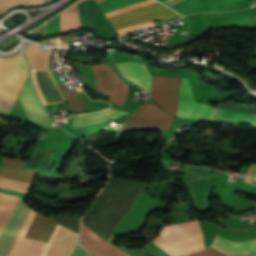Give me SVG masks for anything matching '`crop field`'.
Listing matches in <instances>:
<instances>
[{"mask_svg":"<svg viewBox=\"0 0 256 256\" xmlns=\"http://www.w3.org/2000/svg\"><path fill=\"white\" fill-rule=\"evenodd\" d=\"M43 42L48 43V44H56V45L68 46V44H69V36L61 37V38H56V39H50V40H44Z\"/></svg>","mask_w":256,"mask_h":256,"instance_id":"d3111659","label":"crop field"},{"mask_svg":"<svg viewBox=\"0 0 256 256\" xmlns=\"http://www.w3.org/2000/svg\"><path fill=\"white\" fill-rule=\"evenodd\" d=\"M123 75L130 79L135 84L146 89L149 93L151 77L144 68L143 64L121 62L117 64Z\"/></svg>","mask_w":256,"mask_h":256,"instance_id":"d1516ede","label":"crop field"},{"mask_svg":"<svg viewBox=\"0 0 256 256\" xmlns=\"http://www.w3.org/2000/svg\"><path fill=\"white\" fill-rule=\"evenodd\" d=\"M96 78V89L111 96L109 102L123 105L129 86L117 77L108 64L91 66ZM122 86V88H120Z\"/></svg>","mask_w":256,"mask_h":256,"instance_id":"d8731c3e","label":"crop field"},{"mask_svg":"<svg viewBox=\"0 0 256 256\" xmlns=\"http://www.w3.org/2000/svg\"><path fill=\"white\" fill-rule=\"evenodd\" d=\"M45 1H49V0H45ZM45 1H44V2H45Z\"/></svg>","mask_w":256,"mask_h":256,"instance_id":"0bd39190","label":"crop field"},{"mask_svg":"<svg viewBox=\"0 0 256 256\" xmlns=\"http://www.w3.org/2000/svg\"><path fill=\"white\" fill-rule=\"evenodd\" d=\"M84 0H81L82 2ZM78 2V3H80ZM81 28L77 13L76 4L71 8L61 13V33L75 31Z\"/></svg>","mask_w":256,"mask_h":256,"instance_id":"4a817a6b","label":"crop field"},{"mask_svg":"<svg viewBox=\"0 0 256 256\" xmlns=\"http://www.w3.org/2000/svg\"><path fill=\"white\" fill-rule=\"evenodd\" d=\"M19 98L29 121L50 127L40 101L36 96L29 79Z\"/></svg>","mask_w":256,"mask_h":256,"instance_id":"3316defc","label":"crop field"},{"mask_svg":"<svg viewBox=\"0 0 256 256\" xmlns=\"http://www.w3.org/2000/svg\"><path fill=\"white\" fill-rule=\"evenodd\" d=\"M188 256H227V255L221 254V253H219V252H217V251H215L211 248H208V249L193 253V254L188 255ZM245 256H256V253L251 254V255H245Z\"/></svg>","mask_w":256,"mask_h":256,"instance_id":"eef30255","label":"crop field"},{"mask_svg":"<svg viewBox=\"0 0 256 256\" xmlns=\"http://www.w3.org/2000/svg\"><path fill=\"white\" fill-rule=\"evenodd\" d=\"M19 198L0 193V235L7 224Z\"/></svg>","mask_w":256,"mask_h":256,"instance_id":"733c2abd","label":"crop field"},{"mask_svg":"<svg viewBox=\"0 0 256 256\" xmlns=\"http://www.w3.org/2000/svg\"><path fill=\"white\" fill-rule=\"evenodd\" d=\"M30 186L31 185H29V184H25V183H21V182H17V181H13V180H9V179L0 177V187H3V188H7V189H11V190H15V191H19V192L28 194Z\"/></svg>","mask_w":256,"mask_h":256,"instance_id":"92a150f3","label":"crop field"},{"mask_svg":"<svg viewBox=\"0 0 256 256\" xmlns=\"http://www.w3.org/2000/svg\"><path fill=\"white\" fill-rule=\"evenodd\" d=\"M51 50L43 52L40 49L27 46L24 48V54L29 61L30 67L36 69H48V57Z\"/></svg>","mask_w":256,"mask_h":256,"instance_id":"d9b57169","label":"crop field"},{"mask_svg":"<svg viewBox=\"0 0 256 256\" xmlns=\"http://www.w3.org/2000/svg\"><path fill=\"white\" fill-rule=\"evenodd\" d=\"M0 192H2V193H7V194H11V195H16V196H20V197H24V198L27 197V194L15 192V191L3 189V188H0Z\"/></svg>","mask_w":256,"mask_h":256,"instance_id":"120bbe31","label":"crop field"},{"mask_svg":"<svg viewBox=\"0 0 256 256\" xmlns=\"http://www.w3.org/2000/svg\"><path fill=\"white\" fill-rule=\"evenodd\" d=\"M209 122L220 124H251L256 127V114L237 113L214 108Z\"/></svg>","mask_w":256,"mask_h":256,"instance_id":"28ad6ade","label":"crop field"},{"mask_svg":"<svg viewBox=\"0 0 256 256\" xmlns=\"http://www.w3.org/2000/svg\"><path fill=\"white\" fill-rule=\"evenodd\" d=\"M53 220L61 223L62 225L66 226L69 229L78 233L79 221H77L69 216L62 215L60 213H58V215Z\"/></svg>","mask_w":256,"mask_h":256,"instance_id":"a9b5d70f","label":"crop field"},{"mask_svg":"<svg viewBox=\"0 0 256 256\" xmlns=\"http://www.w3.org/2000/svg\"><path fill=\"white\" fill-rule=\"evenodd\" d=\"M0 176L31 184L34 174L20 169L4 167Z\"/></svg>","mask_w":256,"mask_h":256,"instance_id":"bc2a9ffb","label":"crop field"},{"mask_svg":"<svg viewBox=\"0 0 256 256\" xmlns=\"http://www.w3.org/2000/svg\"><path fill=\"white\" fill-rule=\"evenodd\" d=\"M142 190L140 185L110 176L103 191L85 213L82 224L107 241ZM84 225L79 241L94 256H127Z\"/></svg>","mask_w":256,"mask_h":256,"instance_id":"8a807250","label":"crop field"},{"mask_svg":"<svg viewBox=\"0 0 256 256\" xmlns=\"http://www.w3.org/2000/svg\"><path fill=\"white\" fill-rule=\"evenodd\" d=\"M2 164L13 166V167L23 168L24 165H25V162L24 161H18V160H12V159L4 158Z\"/></svg>","mask_w":256,"mask_h":256,"instance_id":"750c4746","label":"crop field"},{"mask_svg":"<svg viewBox=\"0 0 256 256\" xmlns=\"http://www.w3.org/2000/svg\"><path fill=\"white\" fill-rule=\"evenodd\" d=\"M173 116L155 104L145 103L126 122L123 129H146L167 131Z\"/></svg>","mask_w":256,"mask_h":256,"instance_id":"e52e79f7","label":"crop field"},{"mask_svg":"<svg viewBox=\"0 0 256 256\" xmlns=\"http://www.w3.org/2000/svg\"><path fill=\"white\" fill-rule=\"evenodd\" d=\"M126 113L127 112L119 111L113 108H108L103 111H99L95 113L79 114L74 116L72 127H81V126L93 125L98 122H105Z\"/></svg>","mask_w":256,"mask_h":256,"instance_id":"22f410ed","label":"crop field"},{"mask_svg":"<svg viewBox=\"0 0 256 256\" xmlns=\"http://www.w3.org/2000/svg\"><path fill=\"white\" fill-rule=\"evenodd\" d=\"M96 1H97V2H98V4H99V3H101L103 0H96Z\"/></svg>","mask_w":256,"mask_h":256,"instance_id":"5866460e","label":"crop field"},{"mask_svg":"<svg viewBox=\"0 0 256 256\" xmlns=\"http://www.w3.org/2000/svg\"><path fill=\"white\" fill-rule=\"evenodd\" d=\"M179 78L153 76L151 98L175 115ZM212 107L195 103L188 80L180 78L176 116L207 121Z\"/></svg>","mask_w":256,"mask_h":256,"instance_id":"ac0d7876","label":"crop field"},{"mask_svg":"<svg viewBox=\"0 0 256 256\" xmlns=\"http://www.w3.org/2000/svg\"><path fill=\"white\" fill-rule=\"evenodd\" d=\"M154 2H156V1H154V0L144 1V2H141V3L135 4V5H132V6H128V7L116 10V11H112V12L106 13V16L108 18V17H111V16H114V15H117V14L129 11V10H132V9H136V8H139V7H142V6L154 3Z\"/></svg>","mask_w":256,"mask_h":256,"instance_id":"4177f3b9","label":"crop field"},{"mask_svg":"<svg viewBox=\"0 0 256 256\" xmlns=\"http://www.w3.org/2000/svg\"><path fill=\"white\" fill-rule=\"evenodd\" d=\"M27 62L21 53L0 58V108L11 110L25 80Z\"/></svg>","mask_w":256,"mask_h":256,"instance_id":"f4fd0767","label":"crop field"},{"mask_svg":"<svg viewBox=\"0 0 256 256\" xmlns=\"http://www.w3.org/2000/svg\"><path fill=\"white\" fill-rule=\"evenodd\" d=\"M155 25L154 22H150V23H145V24H140V25H136V26H132L129 28H125V29H121V30H117V33L119 34V36H122L132 30L138 29V28H144V27H149Z\"/></svg>","mask_w":256,"mask_h":256,"instance_id":"ae1a2a85","label":"crop field"},{"mask_svg":"<svg viewBox=\"0 0 256 256\" xmlns=\"http://www.w3.org/2000/svg\"><path fill=\"white\" fill-rule=\"evenodd\" d=\"M86 251H84L81 247H79L77 244L71 254V256H85L86 255Z\"/></svg>","mask_w":256,"mask_h":256,"instance_id":"1d83c4d3","label":"crop field"},{"mask_svg":"<svg viewBox=\"0 0 256 256\" xmlns=\"http://www.w3.org/2000/svg\"><path fill=\"white\" fill-rule=\"evenodd\" d=\"M212 247L226 254L253 253L256 252V240L235 243L217 235Z\"/></svg>","mask_w":256,"mask_h":256,"instance_id":"5142ce71","label":"crop field"},{"mask_svg":"<svg viewBox=\"0 0 256 256\" xmlns=\"http://www.w3.org/2000/svg\"><path fill=\"white\" fill-rule=\"evenodd\" d=\"M87 256H90L89 254H87Z\"/></svg>","mask_w":256,"mask_h":256,"instance_id":"e1f06a70","label":"crop field"},{"mask_svg":"<svg viewBox=\"0 0 256 256\" xmlns=\"http://www.w3.org/2000/svg\"><path fill=\"white\" fill-rule=\"evenodd\" d=\"M176 12L161 5L159 2L109 18L115 30L127 26L162 20L167 18L179 17Z\"/></svg>","mask_w":256,"mask_h":256,"instance_id":"dd49c442","label":"crop field"},{"mask_svg":"<svg viewBox=\"0 0 256 256\" xmlns=\"http://www.w3.org/2000/svg\"><path fill=\"white\" fill-rule=\"evenodd\" d=\"M57 223L37 213L26 238L48 242Z\"/></svg>","mask_w":256,"mask_h":256,"instance_id":"cbeb9de0","label":"crop field"},{"mask_svg":"<svg viewBox=\"0 0 256 256\" xmlns=\"http://www.w3.org/2000/svg\"><path fill=\"white\" fill-rule=\"evenodd\" d=\"M245 178L256 182V166L251 165V167L249 168Z\"/></svg>","mask_w":256,"mask_h":256,"instance_id":"bd1437ed","label":"crop field"},{"mask_svg":"<svg viewBox=\"0 0 256 256\" xmlns=\"http://www.w3.org/2000/svg\"><path fill=\"white\" fill-rule=\"evenodd\" d=\"M48 35L60 33V15L47 22Z\"/></svg>","mask_w":256,"mask_h":256,"instance_id":"730fd06b","label":"crop field"},{"mask_svg":"<svg viewBox=\"0 0 256 256\" xmlns=\"http://www.w3.org/2000/svg\"><path fill=\"white\" fill-rule=\"evenodd\" d=\"M20 198L0 237L2 256H41L46 243L24 238L36 213Z\"/></svg>","mask_w":256,"mask_h":256,"instance_id":"34b2d1b8","label":"crop field"},{"mask_svg":"<svg viewBox=\"0 0 256 256\" xmlns=\"http://www.w3.org/2000/svg\"><path fill=\"white\" fill-rule=\"evenodd\" d=\"M152 242L172 256H184L205 249L198 221L165 227Z\"/></svg>","mask_w":256,"mask_h":256,"instance_id":"412701ff","label":"crop field"},{"mask_svg":"<svg viewBox=\"0 0 256 256\" xmlns=\"http://www.w3.org/2000/svg\"><path fill=\"white\" fill-rule=\"evenodd\" d=\"M139 1H142V0H105L99 5L103 9L104 13H106L111 10L129 5V4H133Z\"/></svg>","mask_w":256,"mask_h":256,"instance_id":"dafd665d","label":"crop field"},{"mask_svg":"<svg viewBox=\"0 0 256 256\" xmlns=\"http://www.w3.org/2000/svg\"><path fill=\"white\" fill-rule=\"evenodd\" d=\"M158 1L161 2L162 4H164V3H166V2H168L170 0H158Z\"/></svg>","mask_w":256,"mask_h":256,"instance_id":"d32e631a","label":"crop field"},{"mask_svg":"<svg viewBox=\"0 0 256 256\" xmlns=\"http://www.w3.org/2000/svg\"><path fill=\"white\" fill-rule=\"evenodd\" d=\"M59 86L64 93L72 111L86 109L76 89L69 91L68 88L64 86V84H61Z\"/></svg>","mask_w":256,"mask_h":256,"instance_id":"214f88e0","label":"crop field"},{"mask_svg":"<svg viewBox=\"0 0 256 256\" xmlns=\"http://www.w3.org/2000/svg\"><path fill=\"white\" fill-rule=\"evenodd\" d=\"M44 0H0V14L7 10L9 7L16 5H33L42 3Z\"/></svg>","mask_w":256,"mask_h":256,"instance_id":"00972430","label":"crop field"},{"mask_svg":"<svg viewBox=\"0 0 256 256\" xmlns=\"http://www.w3.org/2000/svg\"><path fill=\"white\" fill-rule=\"evenodd\" d=\"M77 6L82 29L94 28L99 35L116 38L113 28L94 0L85 1Z\"/></svg>","mask_w":256,"mask_h":256,"instance_id":"5a996713","label":"crop field"},{"mask_svg":"<svg viewBox=\"0 0 256 256\" xmlns=\"http://www.w3.org/2000/svg\"><path fill=\"white\" fill-rule=\"evenodd\" d=\"M2 166H0V170H1Z\"/></svg>","mask_w":256,"mask_h":256,"instance_id":"028f5c9d","label":"crop field"}]
</instances>
